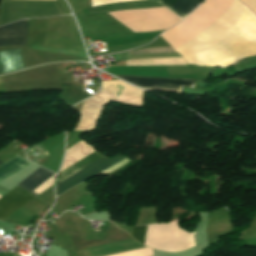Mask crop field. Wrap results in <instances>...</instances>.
<instances>
[{
  "label": "crop field",
  "instance_id": "5",
  "mask_svg": "<svg viewBox=\"0 0 256 256\" xmlns=\"http://www.w3.org/2000/svg\"><path fill=\"white\" fill-rule=\"evenodd\" d=\"M23 68L24 66H23L20 48L0 51V73L1 74L11 73Z\"/></svg>",
  "mask_w": 256,
  "mask_h": 256
},
{
  "label": "crop field",
  "instance_id": "9",
  "mask_svg": "<svg viewBox=\"0 0 256 256\" xmlns=\"http://www.w3.org/2000/svg\"><path fill=\"white\" fill-rule=\"evenodd\" d=\"M147 226L134 227L132 237H134L139 243H144L145 233Z\"/></svg>",
  "mask_w": 256,
  "mask_h": 256
},
{
  "label": "crop field",
  "instance_id": "4",
  "mask_svg": "<svg viewBox=\"0 0 256 256\" xmlns=\"http://www.w3.org/2000/svg\"><path fill=\"white\" fill-rule=\"evenodd\" d=\"M28 20L0 27V45H25Z\"/></svg>",
  "mask_w": 256,
  "mask_h": 256
},
{
  "label": "crop field",
  "instance_id": "3",
  "mask_svg": "<svg viewBox=\"0 0 256 256\" xmlns=\"http://www.w3.org/2000/svg\"><path fill=\"white\" fill-rule=\"evenodd\" d=\"M1 164L3 163L0 162V165ZM33 198L35 197L16 187L8 194L0 198V220H3L11 215L13 212L24 206Z\"/></svg>",
  "mask_w": 256,
  "mask_h": 256
},
{
  "label": "crop field",
  "instance_id": "6",
  "mask_svg": "<svg viewBox=\"0 0 256 256\" xmlns=\"http://www.w3.org/2000/svg\"><path fill=\"white\" fill-rule=\"evenodd\" d=\"M54 175L55 174L40 167L23 181H21L17 186L27 190L28 192L36 196L37 194L33 193L32 191L45 183L50 178H52Z\"/></svg>",
  "mask_w": 256,
  "mask_h": 256
},
{
  "label": "crop field",
  "instance_id": "2",
  "mask_svg": "<svg viewBox=\"0 0 256 256\" xmlns=\"http://www.w3.org/2000/svg\"><path fill=\"white\" fill-rule=\"evenodd\" d=\"M134 85L181 91L182 86L194 88L193 80L174 78H147L116 75Z\"/></svg>",
  "mask_w": 256,
  "mask_h": 256
},
{
  "label": "crop field",
  "instance_id": "8",
  "mask_svg": "<svg viewBox=\"0 0 256 256\" xmlns=\"http://www.w3.org/2000/svg\"><path fill=\"white\" fill-rule=\"evenodd\" d=\"M29 163L30 162H28L18 156L13 157L7 163L0 166V180L15 173L16 171L22 169Z\"/></svg>",
  "mask_w": 256,
  "mask_h": 256
},
{
  "label": "crop field",
  "instance_id": "7",
  "mask_svg": "<svg viewBox=\"0 0 256 256\" xmlns=\"http://www.w3.org/2000/svg\"><path fill=\"white\" fill-rule=\"evenodd\" d=\"M167 6L169 9L177 13L179 16H182L185 4L187 0H157ZM202 0H188L183 16L184 18L189 14Z\"/></svg>",
  "mask_w": 256,
  "mask_h": 256
},
{
  "label": "crop field",
  "instance_id": "1",
  "mask_svg": "<svg viewBox=\"0 0 256 256\" xmlns=\"http://www.w3.org/2000/svg\"><path fill=\"white\" fill-rule=\"evenodd\" d=\"M105 157L99 152H94L91 155L87 156L86 158L82 159L81 161L77 162L76 164L72 165L71 167L67 168L66 170L62 171L59 182L64 180L65 178L73 175L74 173L80 171L81 169L89 166L90 164L96 162L97 160ZM126 158L122 154H117L114 157L108 159L103 158L98 162L90 165L89 167L83 169L82 171L74 174L73 176L67 178L66 180L58 183L57 188V195L65 192L69 188L93 177L94 175L100 173L101 171L107 169L108 167L112 166L113 164L119 162L120 160ZM95 177V176H94Z\"/></svg>",
  "mask_w": 256,
  "mask_h": 256
}]
</instances>
